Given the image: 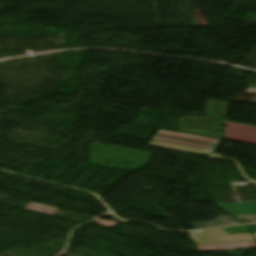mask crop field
<instances>
[{
  "label": "crop field",
  "mask_w": 256,
  "mask_h": 256,
  "mask_svg": "<svg viewBox=\"0 0 256 256\" xmlns=\"http://www.w3.org/2000/svg\"><path fill=\"white\" fill-rule=\"evenodd\" d=\"M179 128L222 130V119L215 117H181Z\"/></svg>",
  "instance_id": "2"
},
{
  "label": "crop field",
  "mask_w": 256,
  "mask_h": 256,
  "mask_svg": "<svg viewBox=\"0 0 256 256\" xmlns=\"http://www.w3.org/2000/svg\"><path fill=\"white\" fill-rule=\"evenodd\" d=\"M227 234H242V233H250L244 226H236L230 228H224Z\"/></svg>",
  "instance_id": "7"
},
{
  "label": "crop field",
  "mask_w": 256,
  "mask_h": 256,
  "mask_svg": "<svg viewBox=\"0 0 256 256\" xmlns=\"http://www.w3.org/2000/svg\"><path fill=\"white\" fill-rule=\"evenodd\" d=\"M198 247H199L200 252L229 250V249H242V248H254V247H256V241L201 245Z\"/></svg>",
  "instance_id": "3"
},
{
  "label": "crop field",
  "mask_w": 256,
  "mask_h": 256,
  "mask_svg": "<svg viewBox=\"0 0 256 256\" xmlns=\"http://www.w3.org/2000/svg\"><path fill=\"white\" fill-rule=\"evenodd\" d=\"M225 139L256 145V127L225 122Z\"/></svg>",
  "instance_id": "1"
},
{
  "label": "crop field",
  "mask_w": 256,
  "mask_h": 256,
  "mask_svg": "<svg viewBox=\"0 0 256 256\" xmlns=\"http://www.w3.org/2000/svg\"><path fill=\"white\" fill-rule=\"evenodd\" d=\"M230 214L256 213V202L248 204L216 203Z\"/></svg>",
  "instance_id": "4"
},
{
  "label": "crop field",
  "mask_w": 256,
  "mask_h": 256,
  "mask_svg": "<svg viewBox=\"0 0 256 256\" xmlns=\"http://www.w3.org/2000/svg\"><path fill=\"white\" fill-rule=\"evenodd\" d=\"M243 223L256 221V214L233 215Z\"/></svg>",
  "instance_id": "8"
},
{
  "label": "crop field",
  "mask_w": 256,
  "mask_h": 256,
  "mask_svg": "<svg viewBox=\"0 0 256 256\" xmlns=\"http://www.w3.org/2000/svg\"><path fill=\"white\" fill-rule=\"evenodd\" d=\"M248 228L251 230V232H256V224H252V225H247ZM246 226V227H247Z\"/></svg>",
  "instance_id": "9"
},
{
  "label": "crop field",
  "mask_w": 256,
  "mask_h": 256,
  "mask_svg": "<svg viewBox=\"0 0 256 256\" xmlns=\"http://www.w3.org/2000/svg\"><path fill=\"white\" fill-rule=\"evenodd\" d=\"M239 223L240 222H238L237 220H235L230 216H216V221L198 222L193 224H194L195 230H198V229L212 228V227L239 224Z\"/></svg>",
  "instance_id": "5"
},
{
  "label": "crop field",
  "mask_w": 256,
  "mask_h": 256,
  "mask_svg": "<svg viewBox=\"0 0 256 256\" xmlns=\"http://www.w3.org/2000/svg\"><path fill=\"white\" fill-rule=\"evenodd\" d=\"M228 103L208 101L205 114L225 117Z\"/></svg>",
  "instance_id": "6"
}]
</instances>
